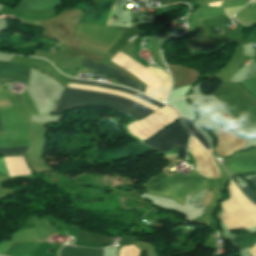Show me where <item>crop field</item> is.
Masks as SVG:
<instances>
[{
  "label": "crop field",
  "instance_id": "8a807250",
  "mask_svg": "<svg viewBox=\"0 0 256 256\" xmlns=\"http://www.w3.org/2000/svg\"><path fill=\"white\" fill-rule=\"evenodd\" d=\"M71 83H78V84H85V85H91V86H96V87H102V88H108V89H113V90H117V91H121V92H125V93H129L135 96H138L158 107H162L164 106V104L157 102L155 100H152L148 97H145L135 91H132L130 89H126V88H121V87H115V86H111V85H107V84H100L97 82H90V81H82V80H74L72 79L70 81ZM62 94H67V95H75V96H83V97H91V98H97V99H103V100H108V101H112V102H116L122 105H125L145 116L151 114L152 112H154L155 110L139 103L136 102L132 99L129 98H125L122 96H118V95H114V94H110V93H103V92H96V91H92V90H85V89H76V88H69L66 87L65 90L63 91ZM67 95H61L60 99L57 103V106L55 108V113L57 112H61V111H65V110H69V109H73L76 107H80L82 105H86V104H95V105H102V106H108V107H112L114 109H117L119 111H122L136 119H141L145 116L116 103H112V102H107V101H103V100H97V99H91V98H83V97H75V96H67Z\"/></svg>",
  "mask_w": 256,
  "mask_h": 256
},
{
  "label": "crop field",
  "instance_id": "ac0d7876",
  "mask_svg": "<svg viewBox=\"0 0 256 256\" xmlns=\"http://www.w3.org/2000/svg\"><path fill=\"white\" fill-rule=\"evenodd\" d=\"M230 199L221 203L220 217L230 231L256 226V206L249 202L232 181L228 186Z\"/></svg>",
  "mask_w": 256,
  "mask_h": 256
},
{
  "label": "crop field",
  "instance_id": "34b2d1b8",
  "mask_svg": "<svg viewBox=\"0 0 256 256\" xmlns=\"http://www.w3.org/2000/svg\"><path fill=\"white\" fill-rule=\"evenodd\" d=\"M191 174L180 176L173 175L156 184L147 185L150 194L171 198L185 204V195L197 193L207 188V184L198 175L196 170Z\"/></svg>",
  "mask_w": 256,
  "mask_h": 256
},
{
  "label": "crop field",
  "instance_id": "412701ff",
  "mask_svg": "<svg viewBox=\"0 0 256 256\" xmlns=\"http://www.w3.org/2000/svg\"><path fill=\"white\" fill-rule=\"evenodd\" d=\"M187 135V130L181 124L180 120L177 119L159 133L142 141V143L147 144L162 153L178 146V157L184 159Z\"/></svg>",
  "mask_w": 256,
  "mask_h": 256
},
{
  "label": "crop field",
  "instance_id": "f4fd0767",
  "mask_svg": "<svg viewBox=\"0 0 256 256\" xmlns=\"http://www.w3.org/2000/svg\"><path fill=\"white\" fill-rule=\"evenodd\" d=\"M189 148L197 163L199 174L207 178H218V169L208 151L194 138L190 137Z\"/></svg>",
  "mask_w": 256,
  "mask_h": 256
},
{
  "label": "crop field",
  "instance_id": "dd49c442",
  "mask_svg": "<svg viewBox=\"0 0 256 256\" xmlns=\"http://www.w3.org/2000/svg\"><path fill=\"white\" fill-rule=\"evenodd\" d=\"M80 68L96 70L95 74H97V75H104V76L112 77V78L118 80L123 85L131 86V87L141 90L143 92L145 90V88L136 84L132 80L126 78L121 73H119L105 65H102L100 63L83 58L81 61V64H80Z\"/></svg>",
  "mask_w": 256,
  "mask_h": 256
},
{
  "label": "crop field",
  "instance_id": "e52e79f7",
  "mask_svg": "<svg viewBox=\"0 0 256 256\" xmlns=\"http://www.w3.org/2000/svg\"><path fill=\"white\" fill-rule=\"evenodd\" d=\"M219 143L216 147V151L220 156H229L234 151L241 149L245 140L239 138L237 135L231 133L225 128L217 130Z\"/></svg>",
  "mask_w": 256,
  "mask_h": 256
},
{
  "label": "crop field",
  "instance_id": "d8731c3e",
  "mask_svg": "<svg viewBox=\"0 0 256 256\" xmlns=\"http://www.w3.org/2000/svg\"><path fill=\"white\" fill-rule=\"evenodd\" d=\"M30 66L0 61V79H16L24 83L29 81Z\"/></svg>",
  "mask_w": 256,
  "mask_h": 256
},
{
  "label": "crop field",
  "instance_id": "5a996713",
  "mask_svg": "<svg viewBox=\"0 0 256 256\" xmlns=\"http://www.w3.org/2000/svg\"><path fill=\"white\" fill-rule=\"evenodd\" d=\"M223 164L232 172L256 173V157L238 156Z\"/></svg>",
  "mask_w": 256,
  "mask_h": 256
},
{
  "label": "crop field",
  "instance_id": "3316defc",
  "mask_svg": "<svg viewBox=\"0 0 256 256\" xmlns=\"http://www.w3.org/2000/svg\"><path fill=\"white\" fill-rule=\"evenodd\" d=\"M61 252L70 253L74 255H82V256H102V249L97 250V249L74 248L70 246H64ZM59 256H73V255L60 253Z\"/></svg>",
  "mask_w": 256,
  "mask_h": 256
},
{
  "label": "crop field",
  "instance_id": "28ad6ade",
  "mask_svg": "<svg viewBox=\"0 0 256 256\" xmlns=\"http://www.w3.org/2000/svg\"><path fill=\"white\" fill-rule=\"evenodd\" d=\"M256 241V232L236 236L232 243L239 249L251 246Z\"/></svg>",
  "mask_w": 256,
  "mask_h": 256
},
{
  "label": "crop field",
  "instance_id": "d1516ede",
  "mask_svg": "<svg viewBox=\"0 0 256 256\" xmlns=\"http://www.w3.org/2000/svg\"><path fill=\"white\" fill-rule=\"evenodd\" d=\"M78 238L88 242L100 243V244H109V241H110V238L108 237L100 236V235L89 233L82 230L80 231Z\"/></svg>",
  "mask_w": 256,
  "mask_h": 256
},
{
  "label": "crop field",
  "instance_id": "22f410ed",
  "mask_svg": "<svg viewBox=\"0 0 256 256\" xmlns=\"http://www.w3.org/2000/svg\"><path fill=\"white\" fill-rule=\"evenodd\" d=\"M254 188H255V190H256V177L255 176H253V177H251V178H249L248 180H247ZM242 188V187H241ZM246 191H247V193L256 201V191L254 192L250 187H249V185H247V186H244L243 187ZM242 188V190L244 191V193L253 201V202H255L246 192H245V190ZM256 203V202H255Z\"/></svg>",
  "mask_w": 256,
  "mask_h": 256
},
{
  "label": "crop field",
  "instance_id": "cbeb9de0",
  "mask_svg": "<svg viewBox=\"0 0 256 256\" xmlns=\"http://www.w3.org/2000/svg\"><path fill=\"white\" fill-rule=\"evenodd\" d=\"M184 120V122L186 123V125L188 126V128L200 139V141L207 147L209 148L205 138L201 135V133L199 131H197L194 127H193V121L187 119V118H182Z\"/></svg>",
  "mask_w": 256,
  "mask_h": 256
},
{
  "label": "crop field",
  "instance_id": "5142ce71",
  "mask_svg": "<svg viewBox=\"0 0 256 256\" xmlns=\"http://www.w3.org/2000/svg\"><path fill=\"white\" fill-rule=\"evenodd\" d=\"M28 147L0 148V154H25Z\"/></svg>",
  "mask_w": 256,
  "mask_h": 256
},
{
  "label": "crop field",
  "instance_id": "d9b57169",
  "mask_svg": "<svg viewBox=\"0 0 256 256\" xmlns=\"http://www.w3.org/2000/svg\"><path fill=\"white\" fill-rule=\"evenodd\" d=\"M241 83L247 86L256 95V79L254 76L244 80Z\"/></svg>",
  "mask_w": 256,
  "mask_h": 256
},
{
  "label": "crop field",
  "instance_id": "733c2abd",
  "mask_svg": "<svg viewBox=\"0 0 256 256\" xmlns=\"http://www.w3.org/2000/svg\"><path fill=\"white\" fill-rule=\"evenodd\" d=\"M213 209L212 208H208V212L205 216L200 217L198 219H190L189 221H195V222H199V223H206L210 221V214L212 213Z\"/></svg>",
  "mask_w": 256,
  "mask_h": 256
},
{
  "label": "crop field",
  "instance_id": "4a817a6b",
  "mask_svg": "<svg viewBox=\"0 0 256 256\" xmlns=\"http://www.w3.org/2000/svg\"><path fill=\"white\" fill-rule=\"evenodd\" d=\"M0 171L3 172L4 174H6V169H5L3 158H0Z\"/></svg>",
  "mask_w": 256,
  "mask_h": 256
},
{
  "label": "crop field",
  "instance_id": "bc2a9ffb",
  "mask_svg": "<svg viewBox=\"0 0 256 256\" xmlns=\"http://www.w3.org/2000/svg\"><path fill=\"white\" fill-rule=\"evenodd\" d=\"M250 253L252 256H256V245L250 249Z\"/></svg>",
  "mask_w": 256,
  "mask_h": 256
},
{
  "label": "crop field",
  "instance_id": "214f88e0",
  "mask_svg": "<svg viewBox=\"0 0 256 256\" xmlns=\"http://www.w3.org/2000/svg\"><path fill=\"white\" fill-rule=\"evenodd\" d=\"M0 132H3V130H2V126H1V123H0Z\"/></svg>",
  "mask_w": 256,
  "mask_h": 256
}]
</instances>
